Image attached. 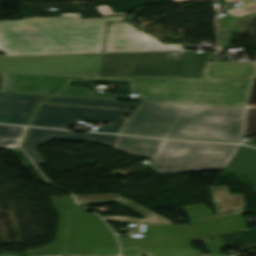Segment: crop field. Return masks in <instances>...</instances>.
Here are the masks:
<instances>
[{"label": "crop field", "mask_w": 256, "mask_h": 256, "mask_svg": "<svg viewBox=\"0 0 256 256\" xmlns=\"http://www.w3.org/2000/svg\"><path fill=\"white\" fill-rule=\"evenodd\" d=\"M104 19H81L80 13L60 17L0 21V51L6 55L102 52L107 22L124 21L109 6L96 7Z\"/></svg>", "instance_id": "1"}, {"label": "crop field", "mask_w": 256, "mask_h": 256, "mask_svg": "<svg viewBox=\"0 0 256 256\" xmlns=\"http://www.w3.org/2000/svg\"><path fill=\"white\" fill-rule=\"evenodd\" d=\"M141 102L123 133L240 142L244 108Z\"/></svg>", "instance_id": "2"}, {"label": "crop field", "mask_w": 256, "mask_h": 256, "mask_svg": "<svg viewBox=\"0 0 256 256\" xmlns=\"http://www.w3.org/2000/svg\"><path fill=\"white\" fill-rule=\"evenodd\" d=\"M92 80L130 81L139 100L244 107L252 81L206 79H145L93 77Z\"/></svg>", "instance_id": "3"}, {"label": "crop field", "mask_w": 256, "mask_h": 256, "mask_svg": "<svg viewBox=\"0 0 256 256\" xmlns=\"http://www.w3.org/2000/svg\"><path fill=\"white\" fill-rule=\"evenodd\" d=\"M173 52L103 54L96 75L205 78L210 57L221 51L208 54L182 51L180 59H172L169 53Z\"/></svg>", "instance_id": "4"}, {"label": "crop field", "mask_w": 256, "mask_h": 256, "mask_svg": "<svg viewBox=\"0 0 256 256\" xmlns=\"http://www.w3.org/2000/svg\"><path fill=\"white\" fill-rule=\"evenodd\" d=\"M192 225H148L145 238H118L122 248L192 249L191 240H205L209 249L225 245L219 235L248 230L241 214L192 221ZM208 236L215 238L211 241Z\"/></svg>", "instance_id": "5"}, {"label": "crop field", "mask_w": 256, "mask_h": 256, "mask_svg": "<svg viewBox=\"0 0 256 256\" xmlns=\"http://www.w3.org/2000/svg\"><path fill=\"white\" fill-rule=\"evenodd\" d=\"M237 148L236 145L166 140L152 169L157 173L225 169Z\"/></svg>", "instance_id": "6"}, {"label": "crop field", "mask_w": 256, "mask_h": 256, "mask_svg": "<svg viewBox=\"0 0 256 256\" xmlns=\"http://www.w3.org/2000/svg\"><path fill=\"white\" fill-rule=\"evenodd\" d=\"M101 54L0 57V74L91 76Z\"/></svg>", "instance_id": "7"}, {"label": "crop field", "mask_w": 256, "mask_h": 256, "mask_svg": "<svg viewBox=\"0 0 256 256\" xmlns=\"http://www.w3.org/2000/svg\"><path fill=\"white\" fill-rule=\"evenodd\" d=\"M62 199L71 213L64 255H93L94 247L118 248L113 233L99 217L79 209L72 196Z\"/></svg>", "instance_id": "8"}, {"label": "crop field", "mask_w": 256, "mask_h": 256, "mask_svg": "<svg viewBox=\"0 0 256 256\" xmlns=\"http://www.w3.org/2000/svg\"><path fill=\"white\" fill-rule=\"evenodd\" d=\"M129 111L41 104L30 125L68 129L75 121L112 122L96 131L118 133Z\"/></svg>", "instance_id": "9"}, {"label": "crop field", "mask_w": 256, "mask_h": 256, "mask_svg": "<svg viewBox=\"0 0 256 256\" xmlns=\"http://www.w3.org/2000/svg\"><path fill=\"white\" fill-rule=\"evenodd\" d=\"M182 49L181 45H163L126 23H110L104 52Z\"/></svg>", "instance_id": "10"}, {"label": "crop field", "mask_w": 256, "mask_h": 256, "mask_svg": "<svg viewBox=\"0 0 256 256\" xmlns=\"http://www.w3.org/2000/svg\"><path fill=\"white\" fill-rule=\"evenodd\" d=\"M90 77L4 75L2 91L55 95L70 81H87Z\"/></svg>", "instance_id": "11"}, {"label": "crop field", "mask_w": 256, "mask_h": 256, "mask_svg": "<svg viewBox=\"0 0 256 256\" xmlns=\"http://www.w3.org/2000/svg\"><path fill=\"white\" fill-rule=\"evenodd\" d=\"M53 138L101 143L113 146L117 136L86 133L84 135L65 131L30 128L22 149L35 164L45 163L33 149Z\"/></svg>", "instance_id": "12"}, {"label": "crop field", "mask_w": 256, "mask_h": 256, "mask_svg": "<svg viewBox=\"0 0 256 256\" xmlns=\"http://www.w3.org/2000/svg\"><path fill=\"white\" fill-rule=\"evenodd\" d=\"M48 95L0 93V122L28 125L39 103Z\"/></svg>", "instance_id": "13"}, {"label": "crop field", "mask_w": 256, "mask_h": 256, "mask_svg": "<svg viewBox=\"0 0 256 256\" xmlns=\"http://www.w3.org/2000/svg\"><path fill=\"white\" fill-rule=\"evenodd\" d=\"M76 198L80 204L93 203V202L115 201V202L121 204L122 206L146 217L142 220L127 218V217H119V216L103 217V219L106 222L119 221V222L128 223V224L172 223L171 221L164 219V218L132 203L131 201H129L123 197H120L118 195H115V194L82 195V196H76Z\"/></svg>", "instance_id": "14"}, {"label": "crop field", "mask_w": 256, "mask_h": 256, "mask_svg": "<svg viewBox=\"0 0 256 256\" xmlns=\"http://www.w3.org/2000/svg\"><path fill=\"white\" fill-rule=\"evenodd\" d=\"M255 67V63L210 62L206 78L252 80Z\"/></svg>", "instance_id": "15"}, {"label": "crop field", "mask_w": 256, "mask_h": 256, "mask_svg": "<svg viewBox=\"0 0 256 256\" xmlns=\"http://www.w3.org/2000/svg\"><path fill=\"white\" fill-rule=\"evenodd\" d=\"M162 140L118 136L113 148L153 159Z\"/></svg>", "instance_id": "16"}, {"label": "crop field", "mask_w": 256, "mask_h": 256, "mask_svg": "<svg viewBox=\"0 0 256 256\" xmlns=\"http://www.w3.org/2000/svg\"><path fill=\"white\" fill-rule=\"evenodd\" d=\"M224 171L247 174L254 183L256 192V150L240 145Z\"/></svg>", "instance_id": "17"}, {"label": "crop field", "mask_w": 256, "mask_h": 256, "mask_svg": "<svg viewBox=\"0 0 256 256\" xmlns=\"http://www.w3.org/2000/svg\"><path fill=\"white\" fill-rule=\"evenodd\" d=\"M216 207L217 216L243 213L244 198L242 195H230L227 186L210 187Z\"/></svg>", "instance_id": "18"}, {"label": "crop field", "mask_w": 256, "mask_h": 256, "mask_svg": "<svg viewBox=\"0 0 256 256\" xmlns=\"http://www.w3.org/2000/svg\"><path fill=\"white\" fill-rule=\"evenodd\" d=\"M44 102L70 104V105H81V106L104 107V108H115V109H127V110H133V108L135 106V104H131V103H120L118 100L64 97V96H55V97H52Z\"/></svg>", "instance_id": "19"}, {"label": "crop field", "mask_w": 256, "mask_h": 256, "mask_svg": "<svg viewBox=\"0 0 256 256\" xmlns=\"http://www.w3.org/2000/svg\"><path fill=\"white\" fill-rule=\"evenodd\" d=\"M51 200L61 215L56 242L35 251L36 255H62L63 253L69 215L67 214L59 197L51 198Z\"/></svg>", "instance_id": "20"}, {"label": "crop field", "mask_w": 256, "mask_h": 256, "mask_svg": "<svg viewBox=\"0 0 256 256\" xmlns=\"http://www.w3.org/2000/svg\"><path fill=\"white\" fill-rule=\"evenodd\" d=\"M201 256L199 250H170V249H122V256Z\"/></svg>", "instance_id": "21"}, {"label": "crop field", "mask_w": 256, "mask_h": 256, "mask_svg": "<svg viewBox=\"0 0 256 256\" xmlns=\"http://www.w3.org/2000/svg\"><path fill=\"white\" fill-rule=\"evenodd\" d=\"M23 130L22 127L0 125V147L18 149Z\"/></svg>", "instance_id": "22"}, {"label": "crop field", "mask_w": 256, "mask_h": 256, "mask_svg": "<svg viewBox=\"0 0 256 256\" xmlns=\"http://www.w3.org/2000/svg\"><path fill=\"white\" fill-rule=\"evenodd\" d=\"M184 209L191 220L214 216L212 211L205 208L204 205L184 207Z\"/></svg>", "instance_id": "23"}, {"label": "crop field", "mask_w": 256, "mask_h": 256, "mask_svg": "<svg viewBox=\"0 0 256 256\" xmlns=\"http://www.w3.org/2000/svg\"><path fill=\"white\" fill-rule=\"evenodd\" d=\"M58 95L79 96V97H93V98H108V99H116L117 98V97H112V96L91 95V92H89L87 89L72 88V87H68L67 90L63 91L62 93H60Z\"/></svg>", "instance_id": "24"}, {"label": "crop field", "mask_w": 256, "mask_h": 256, "mask_svg": "<svg viewBox=\"0 0 256 256\" xmlns=\"http://www.w3.org/2000/svg\"><path fill=\"white\" fill-rule=\"evenodd\" d=\"M245 135H256V109H248Z\"/></svg>", "instance_id": "25"}, {"label": "crop field", "mask_w": 256, "mask_h": 256, "mask_svg": "<svg viewBox=\"0 0 256 256\" xmlns=\"http://www.w3.org/2000/svg\"><path fill=\"white\" fill-rule=\"evenodd\" d=\"M254 1L256 2V0ZM225 12L233 15L234 17L256 13V3L248 4V5L242 6L241 8L229 10Z\"/></svg>", "instance_id": "26"}, {"label": "crop field", "mask_w": 256, "mask_h": 256, "mask_svg": "<svg viewBox=\"0 0 256 256\" xmlns=\"http://www.w3.org/2000/svg\"><path fill=\"white\" fill-rule=\"evenodd\" d=\"M119 249L94 248L95 255H117Z\"/></svg>", "instance_id": "27"}, {"label": "crop field", "mask_w": 256, "mask_h": 256, "mask_svg": "<svg viewBox=\"0 0 256 256\" xmlns=\"http://www.w3.org/2000/svg\"><path fill=\"white\" fill-rule=\"evenodd\" d=\"M174 2H182V1H199V0H173Z\"/></svg>", "instance_id": "28"}, {"label": "crop field", "mask_w": 256, "mask_h": 256, "mask_svg": "<svg viewBox=\"0 0 256 256\" xmlns=\"http://www.w3.org/2000/svg\"><path fill=\"white\" fill-rule=\"evenodd\" d=\"M2 79H3V75H0V91H1V87H2Z\"/></svg>", "instance_id": "29"}, {"label": "crop field", "mask_w": 256, "mask_h": 256, "mask_svg": "<svg viewBox=\"0 0 256 256\" xmlns=\"http://www.w3.org/2000/svg\"><path fill=\"white\" fill-rule=\"evenodd\" d=\"M0 256H24V255H0Z\"/></svg>", "instance_id": "30"}, {"label": "crop field", "mask_w": 256, "mask_h": 256, "mask_svg": "<svg viewBox=\"0 0 256 256\" xmlns=\"http://www.w3.org/2000/svg\"><path fill=\"white\" fill-rule=\"evenodd\" d=\"M250 144L256 146V144H253V143H250Z\"/></svg>", "instance_id": "31"}, {"label": "crop field", "mask_w": 256, "mask_h": 256, "mask_svg": "<svg viewBox=\"0 0 256 256\" xmlns=\"http://www.w3.org/2000/svg\"><path fill=\"white\" fill-rule=\"evenodd\" d=\"M255 80H256V78H255Z\"/></svg>", "instance_id": "32"}]
</instances>
